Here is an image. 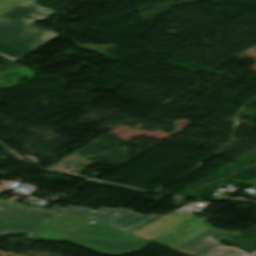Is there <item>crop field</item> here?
Instances as JSON below:
<instances>
[{"label":"crop field","mask_w":256,"mask_h":256,"mask_svg":"<svg viewBox=\"0 0 256 256\" xmlns=\"http://www.w3.org/2000/svg\"><path fill=\"white\" fill-rule=\"evenodd\" d=\"M35 1L36 0H27L0 16L1 42L31 52L59 35L54 30L45 31L31 23L55 12L49 8H45L34 3ZM11 15L18 16V20L11 21L7 19ZM24 22H27V24H24ZM14 24L17 25L14 26Z\"/></svg>","instance_id":"obj_1"},{"label":"crop field","mask_w":256,"mask_h":256,"mask_svg":"<svg viewBox=\"0 0 256 256\" xmlns=\"http://www.w3.org/2000/svg\"><path fill=\"white\" fill-rule=\"evenodd\" d=\"M66 212L68 211L57 207L47 210L41 207L27 206L22 203L12 204L0 199V219L5 221L11 220L40 227Z\"/></svg>","instance_id":"obj_2"},{"label":"crop field","mask_w":256,"mask_h":256,"mask_svg":"<svg viewBox=\"0 0 256 256\" xmlns=\"http://www.w3.org/2000/svg\"><path fill=\"white\" fill-rule=\"evenodd\" d=\"M64 208L69 209L78 214L87 216L89 218L101 221L103 223L109 224L124 231L134 227L135 225L145 221L146 219L152 216L139 215L130 210L125 209L102 208L98 211H94L86 207L79 208L72 205H69Z\"/></svg>","instance_id":"obj_3"},{"label":"crop field","mask_w":256,"mask_h":256,"mask_svg":"<svg viewBox=\"0 0 256 256\" xmlns=\"http://www.w3.org/2000/svg\"><path fill=\"white\" fill-rule=\"evenodd\" d=\"M72 243L107 255H126L143 249L147 243L114 242L72 235Z\"/></svg>","instance_id":"obj_4"},{"label":"crop field","mask_w":256,"mask_h":256,"mask_svg":"<svg viewBox=\"0 0 256 256\" xmlns=\"http://www.w3.org/2000/svg\"><path fill=\"white\" fill-rule=\"evenodd\" d=\"M217 232H225L233 235H236L237 233H239V231H225V230H219L213 227L205 231L204 233L194 237L193 239L185 242L184 244L176 247L175 249L180 250L192 256H198L220 245V243L209 240V237Z\"/></svg>","instance_id":"obj_5"},{"label":"crop field","mask_w":256,"mask_h":256,"mask_svg":"<svg viewBox=\"0 0 256 256\" xmlns=\"http://www.w3.org/2000/svg\"><path fill=\"white\" fill-rule=\"evenodd\" d=\"M76 234L107 238L113 240H124V241H147L130 233L116 229L109 225L98 222L91 226L80 229Z\"/></svg>","instance_id":"obj_6"},{"label":"crop field","mask_w":256,"mask_h":256,"mask_svg":"<svg viewBox=\"0 0 256 256\" xmlns=\"http://www.w3.org/2000/svg\"><path fill=\"white\" fill-rule=\"evenodd\" d=\"M90 221L92 220L68 212L48 222L42 228L72 233L77 228L90 224Z\"/></svg>","instance_id":"obj_7"},{"label":"crop field","mask_w":256,"mask_h":256,"mask_svg":"<svg viewBox=\"0 0 256 256\" xmlns=\"http://www.w3.org/2000/svg\"><path fill=\"white\" fill-rule=\"evenodd\" d=\"M14 233H30V239L41 240L40 230L37 227L8 222L0 227V235Z\"/></svg>","instance_id":"obj_8"},{"label":"crop field","mask_w":256,"mask_h":256,"mask_svg":"<svg viewBox=\"0 0 256 256\" xmlns=\"http://www.w3.org/2000/svg\"><path fill=\"white\" fill-rule=\"evenodd\" d=\"M201 256H248L247 253L235 248V247H226L218 246ZM250 256H256V251L251 253Z\"/></svg>","instance_id":"obj_9"},{"label":"crop field","mask_w":256,"mask_h":256,"mask_svg":"<svg viewBox=\"0 0 256 256\" xmlns=\"http://www.w3.org/2000/svg\"><path fill=\"white\" fill-rule=\"evenodd\" d=\"M27 53L28 52L26 51L20 50L18 48L0 42V55L8 59L15 61Z\"/></svg>","instance_id":"obj_10"},{"label":"crop field","mask_w":256,"mask_h":256,"mask_svg":"<svg viewBox=\"0 0 256 256\" xmlns=\"http://www.w3.org/2000/svg\"><path fill=\"white\" fill-rule=\"evenodd\" d=\"M41 235H42V240L61 241V242H67V237H68V234L52 232V231H47L42 229H41ZM51 235H55V236L51 237Z\"/></svg>","instance_id":"obj_11"},{"label":"crop field","mask_w":256,"mask_h":256,"mask_svg":"<svg viewBox=\"0 0 256 256\" xmlns=\"http://www.w3.org/2000/svg\"><path fill=\"white\" fill-rule=\"evenodd\" d=\"M25 0H0V15L24 2Z\"/></svg>","instance_id":"obj_12"},{"label":"crop field","mask_w":256,"mask_h":256,"mask_svg":"<svg viewBox=\"0 0 256 256\" xmlns=\"http://www.w3.org/2000/svg\"><path fill=\"white\" fill-rule=\"evenodd\" d=\"M3 223H5V221H1V220H0V225L3 224Z\"/></svg>","instance_id":"obj_13"}]
</instances>
